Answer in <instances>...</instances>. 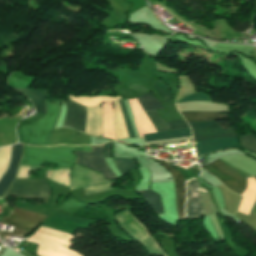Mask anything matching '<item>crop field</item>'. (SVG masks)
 <instances>
[{
    "mask_svg": "<svg viewBox=\"0 0 256 256\" xmlns=\"http://www.w3.org/2000/svg\"><path fill=\"white\" fill-rule=\"evenodd\" d=\"M120 106H121V109L123 111V114H124V118H125V122H126V126H127V129H128V133H129V137L130 138H133L135 137L134 135V132H133V129H132V126L130 124V121H129V118H128V115H127V112L125 110V107H124V104H123V101L120 100Z\"/></svg>",
    "mask_w": 256,
    "mask_h": 256,
    "instance_id": "obj_22",
    "label": "crop field"
},
{
    "mask_svg": "<svg viewBox=\"0 0 256 256\" xmlns=\"http://www.w3.org/2000/svg\"><path fill=\"white\" fill-rule=\"evenodd\" d=\"M151 205L155 212L161 213L163 212V208L159 199V196L152 191H143L139 192Z\"/></svg>",
    "mask_w": 256,
    "mask_h": 256,
    "instance_id": "obj_15",
    "label": "crop field"
},
{
    "mask_svg": "<svg viewBox=\"0 0 256 256\" xmlns=\"http://www.w3.org/2000/svg\"><path fill=\"white\" fill-rule=\"evenodd\" d=\"M106 145L101 147H93V154L86 152H75L78 156L77 164L93 169L95 171L100 170L105 179L116 180V176L107 167L103 151Z\"/></svg>",
    "mask_w": 256,
    "mask_h": 256,
    "instance_id": "obj_5",
    "label": "crop field"
},
{
    "mask_svg": "<svg viewBox=\"0 0 256 256\" xmlns=\"http://www.w3.org/2000/svg\"><path fill=\"white\" fill-rule=\"evenodd\" d=\"M51 193L45 179H15L9 191L5 195L18 198H43L46 203ZM46 216L31 213L15 208L11 215L2 218L7 225L15 226L12 233L2 231L0 236H20L29 235L38 225H40Z\"/></svg>",
    "mask_w": 256,
    "mask_h": 256,
    "instance_id": "obj_1",
    "label": "crop field"
},
{
    "mask_svg": "<svg viewBox=\"0 0 256 256\" xmlns=\"http://www.w3.org/2000/svg\"><path fill=\"white\" fill-rule=\"evenodd\" d=\"M189 100H209V101H211L210 98L206 94L196 93V94H192V95H187V96L179 99L178 101H176V103L189 101Z\"/></svg>",
    "mask_w": 256,
    "mask_h": 256,
    "instance_id": "obj_20",
    "label": "crop field"
},
{
    "mask_svg": "<svg viewBox=\"0 0 256 256\" xmlns=\"http://www.w3.org/2000/svg\"><path fill=\"white\" fill-rule=\"evenodd\" d=\"M66 106H67V114H66L64 125H68L84 133V123H85V117H86L84 108L69 101H66Z\"/></svg>",
    "mask_w": 256,
    "mask_h": 256,
    "instance_id": "obj_9",
    "label": "crop field"
},
{
    "mask_svg": "<svg viewBox=\"0 0 256 256\" xmlns=\"http://www.w3.org/2000/svg\"><path fill=\"white\" fill-rule=\"evenodd\" d=\"M194 135V142L215 137H238L235 128L223 129L215 121L189 123Z\"/></svg>",
    "mask_w": 256,
    "mask_h": 256,
    "instance_id": "obj_6",
    "label": "crop field"
},
{
    "mask_svg": "<svg viewBox=\"0 0 256 256\" xmlns=\"http://www.w3.org/2000/svg\"><path fill=\"white\" fill-rule=\"evenodd\" d=\"M22 150V144H15L12 146V155L8 171L6 170L7 172L0 179V196L4 195L16 175L19 161L22 156Z\"/></svg>",
    "mask_w": 256,
    "mask_h": 256,
    "instance_id": "obj_8",
    "label": "crop field"
},
{
    "mask_svg": "<svg viewBox=\"0 0 256 256\" xmlns=\"http://www.w3.org/2000/svg\"><path fill=\"white\" fill-rule=\"evenodd\" d=\"M9 86L15 89L16 91L20 92L24 96H26L29 100H31L37 112H41L45 114V97L49 91L28 90V89L18 88L13 85H9Z\"/></svg>",
    "mask_w": 256,
    "mask_h": 256,
    "instance_id": "obj_10",
    "label": "crop field"
},
{
    "mask_svg": "<svg viewBox=\"0 0 256 256\" xmlns=\"http://www.w3.org/2000/svg\"><path fill=\"white\" fill-rule=\"evenodd\" d=\"M146 142L191 136L190 129L143 135Z\"/></svg>",
    "mask_w": 256,
    "mask_h": 256,
    "instance_id": "obj_12",
    "label": "crop field"
},
{
    "mask_svg": "<svg viewBox=\"0 0 256 256\" xmlns=\"http://www.w3.org/2000/svg\"><path fill=\"white\" fill-rule=\"evenodd\" d=\"M160 93V95L163 98L164 103L172 102L171 99V92L168 89L167 85L164 84L161 81L156 80V82L153 85Z\"/></svg>",
    "mask_w": 256,
    "mask_h": 256,
    "instance_id": "obj_17",
    "label": "crop field"
},
{
    "mask_svg": "<svg viewBox=\"0 0 256 256\" xmlns=\"http://www.w3.org/2000/svg\"><path fill=\"white\" fill-rule=\"evenodd\" d=\"M169 130H174V129H180V128H186L189 127L188 124L185 122L184 119L177 120V121H172L166 123Z\"/></svg>",
    "mask_w": 256,
    "mask_h": 256,
    "instance_id": "obj_21",
    "label": "crop field"
},
{
    "mask_svg": "<svg viewBox=\"0 0 256 256\" xmlns=\"http://www.w3.org/2000/svg\"><path fill=\"white\" fill-rule=\"evenodd\" d=\"M122 229L128 232L136 242H140L150 254L166 256L155 240L148 234L146 228L130 214L129 210L124 209L114 216Z\"/></svg>",
    "mask_w": 256,
    "mask_h": 256,
    "instance_id": "obj_2",
    "label": "crop field"
},
{
    "mask_svg": "<svg viewBox=\"0 0 256 256\" xmlns=\"http://www.w3.org/2000/svg\"><path fill=\"white\" fill-rule=\"evenodd\" d=\"M159 162L163 167H165L172 175L174 180L175 186V197H176V207H177V218L178 221L180 218H185L184 215V203H185V187H184V180L177 170L170 167L168 164L156 160Z\"/></svg>",
    "mask_w": 256,
    "mask_h": 256,
    "instance_id": "obj_7",
    "label": "crop field"
},
{
    "mask_svg": "<svg viewBox=\"0 0 256 256\" xmlns=\"http://www.w3.org/2000/svg\"><path fill=\"white\" fill-rule=\"evenodd\" d=\"M115 182L106 181L100 173L77 165H74L70 178L71 190L85 187V195L111 190L110 186Z\"/></svg>",
    "mask_w": 256,
    "mask_h": 256,
    "instance_id": "obj_3",
    "label": "crop field"
},
{
    "mask_svg": "<svg viewBox=\"0 0 256 256\" xmlns=\"http://www.w3.org/2000/svg\"><path fill=\"white\" fill-rule=\"evenodd\" d=\"M111 155V142L108 143L107 148L105 150V158L110 157Z\"/></svg>",
    "mask_w": 256,
    "mask_h": 256,
    "instance_id": "obj_24",
    "label": "crop field"
},
{
    "mask_svg": "<svg viewBox=\"0 0 256 256\" xmlns=\"http://www.w3.org/2000/svg\"><path fill=\"white\" fill-rule=\"evenodd\" d=\"M28 170L30 169L19 168L17 177H28Z\"/></svg>",
    "mask_w": 256,
    "mask_h": 256,
    "instance_id": "obj_23",
    "label": "crop field"
},
{
    "mask_svg": "<svg viewBox=\"0 0 256 256\" xmlns=\"http://www.w3.org/2000/svg\"><path fill=\"white\" fill-rule=\"evenodd\" d=\"M214 140L217 147L199 150L197 151V155L205 154V153H209V152H213V151H217L225 148H230V147H240L237 141V138H215Z\"/></svg>",
    "mask_w": 256,
    "mask_h": 256,
    "instance_id": "obj_13",
    "label": "crop field"
},
{
    "mask_svg": "<svg viewBox=\"0 0 256 256\" xmlns=\"http://www.w3.org/2000/svg\"><path fill=\"white\" fill-rule=\"evenodd\" d=\"M147 114L155 126L157 132L168 130L165 122L158 116L155 111L147 112Z\"/></svg>",
    "mask_w": 256,
    "mask_h": 256,
    "instance_id": "obj_18",
    "label": "crop field"
},
{
    "mask_svg": "<svg viewBox=\"0 0 256 256\" xmlns=\"http://www.w3.org/2000/svg\"><path fill=\"white\" fill-rule=\"evenodd\" d=\"M187 122L193 121H211L227 118L228 116L221 113H207V112H181Z\"/></svg>",
    "mask_w": 256,
    "mask_h": 256,
    "instance_id": "obj_11",
    "label": "crop field"
},
{
    "mask_svg": "<svg viewBox=\"0 0 256 256\" xmlns=\"http://www.w3.org/2000/svg\"><path fill=\"white\" fill-rule=\"evenodd\" d=\"M138 101L144 111L163 108L159 101L153 98L151 94H145L138 97Z\"/></svg>",
    "mask_w": 256,
    "mask_h": 256,
    "instance_id": "obj_14",
    "label": "crop field"
},
{
    "mask_svg": "<svg viewBox=\"0 0 256 256\" xmlns=\"http://www.w3.org/2000/svg\"><path fill=\"white\" fill-rule=\"evenodd\" d=\"M113 160L117 169L121 172L122 175L137 168L134 164V159L113 158Z\"/></svg>",
    "mask_w": 256,
    "mask_h": 256,
    "instance_id": "obj_16",
    "label": "crop field"
},
{
    "mask_svg": "<svg viewBox=\"0 0 256 256\" xmlns=\"http://www.w3.org/2000/svg\"><path fill=\"white\" fill-rule=\"evenodd\" d=\"M240 139L244 148L256 153V139L251 134L241 136Z\"/></svg>",
    "mask_w": 256,
    "mask_h": 256,
    "instance_id": "obj_19",
    "label": "crop field"
},
{
    "mask_svg": "<svg viewBox=\"0 0 256 256\" xmlns=\"http://www.w3.org/2000/svg\"><path fill=\"white\" fill-rule=\"evenodd\" d=\"M215 177L220 179L226 186L230 189L244 194L246 190V179L243 175L239 174L226 164L222 163L219 160H216L213 163L206 164L201 166Z\"/></svg>",
    "mask_w": 256,
    "mask_h": 256,
    "instance_id": "obj_4",
    "label": "crop field"
}]
</instances>
